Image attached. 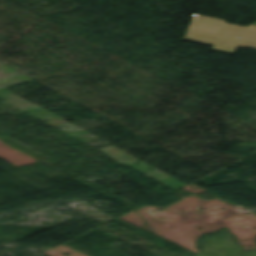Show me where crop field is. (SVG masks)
Instances as JSON below:
<instances>
[{
    "label": "crop field",
    "mask_w": 256,
    "mask_h": 256,
    "mask_svg": "<svg viewBox=\"0 0 256 256\" xmlns=\"http://www.w3.org/2000/svg\"><path fill=\"white\" fill-rule=\"evenodd\" d=\"M185 39L214 45V51L235 54L238 46L256 49V26H234L224 20L194 15ZM240 37V39H236Z\"/></svg>",
    "instance_id": "obj_1"
}]
</instances>
